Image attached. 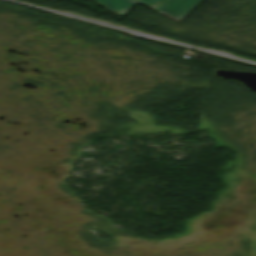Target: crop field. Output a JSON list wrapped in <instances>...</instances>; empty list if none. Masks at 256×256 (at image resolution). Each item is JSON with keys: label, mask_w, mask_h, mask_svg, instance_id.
Here are the masks:
<instances>
[{"label": "crop field", "mask_w": 256, "mask_h": 256, "mask_svg": "<svg viewBox=\"0 0 256 256\" xmlns=\"http://www.w3.org/2000/svg\"><path fill=\"white\" fill-rule=\"evenodd\" d=\"M201 1L202 0H167L157 9V11L179 21Z\"/></svg>", "instance_id": "crop-field-1"}, {"label": "crop field", "mask_w": 256, "mask_h": 256, "mask_svg": "<svg viewBox=\"0 0 256 256\" xmlns=\"http://www.w3.org/2000/svg\"><path fill=\"white\" fill-rule=\"evenodd\" d=\"M107 6L106 10L117 14L125 13L131 6H135L137 2L154 9L164 0H96Z\"/></svg>", "instance_id": "crop-field-2"}]
</instances>
